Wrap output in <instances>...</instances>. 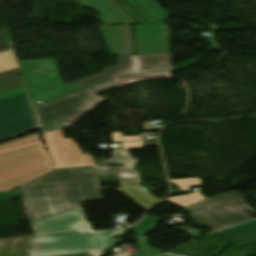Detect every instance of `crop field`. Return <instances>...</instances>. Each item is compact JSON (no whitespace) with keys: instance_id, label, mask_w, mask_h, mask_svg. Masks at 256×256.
I'll return each mask as SVG.
<instances>
[{"instance_id":"4a817a6b","label":"crop field","mask_w":256,"mask_h":256,"mask_svg":"<svg viewBox=\"0 0 256 256\" xmlns=\"http://www.w3.org/2000/svg\"><path fill=\"white\" fill-rule=\"evenodd\" d=\"M19 73L18 68L0 73V92L22 85L21 76H17Z\"/></svg>"},{"instance_id":"d8731c3e","label":"crop field","mask_w":256,"mask_h":256,"mask_svg":"<svg viewBox=\"0 0 256 256\" xmlns=\"http://www.w3.org/2000/svg\"><path fill=\"white\" fill-rule=\"evenodd\" d=\"M170 69L169 54L119 56V64L103 70L104 74L77 82L85 88L125 74Z\"/></svg>"},{"instance_id":"00972430","label":"crop field","mask_w":256,"mask_h":256,"mask_svg":"<svg viewBox=\"0 0 256 256\" xmlns=\"http://www.w3.org/2000/svg\"><path fill=\"white\" fill-rule=\"evenodd\" d=\"M25 92H26L25 86L22 85V86H19V87L1 92L0 93V100L8 98V97L15 96V95H18V94H22V93H25Z\"/></svg>"},{"instance_id":"d9b57169","label":"crop field","mask_w":256,"mask_h":256,"mask_svg":"<svg viewBox=\"0 0 256 256\" xmlns=\"http://www.w3.org/2000/svg\"><path fill=\"white\" fill-rule=\"evenodd\" d=\"M119 182L122 188H119L118 190H120L146 211L153 204L160 201L148 191L140 187V180H125Z\"/></svg>"},{"instance_id":"ae1a2a85","label":"crop field","mask_w":256,"mask_h":256,"mask_svg":"<svg viewBox=\"0 0 256 256\" xmlns=\"http://www.w3.org/2000/svg\"><path fill=\"white\" fill-rule=\"evenodd\" d=\"M19 195L18 191L17 190H13L11 192H8V193H2L0 192V199L1 200H9L15 196Z\"/></svg>"},{"instance_id":"dafd665d","label":"crop field","mask_w":256,"mask_h":256,"mask_svg":"<svg viewBox=\"0 0 256 256\" xmlns=\"http://www.w3.org/2000/svg\"><path fill=\"white\" fill-rule=\"evenodd\" d=\"M171 183L176 184L183 190H189L191 186L201 185V181L198 178L186 179V180H170Z\"/></svg>"},{"instance_id":"28ad6ade","label":"crop field","mask_w":256,"mask_h":256,"mask_svg":"<svg viewBox=\"0 0 256 256\" xmlns=\"http://www.w3.org/2000/svg\"><path fill=\"white\" fill-rule=\"evenodd\" d=\"M97 181L93 167L60 169L51 171L21 186V188L90 183Z\"/></svg>"},{"instance_id":"d1516ede","label":"crop field","mask_w":256,"mask_h":256,"mask_svg":"<svg viewBox=\"0 0 256 256\" xmlns=\"http://www.w3.org/2000/svg\"><path fill=\"white\" fill-rule=\"evenodd\" d=\"M139 23L164 22L167 12L153 0H114Z\"/></svg>"},{"instance_id":"dd49c442","label":"crop field","mask_w":256,"mask_h":256,"mask_svg":"<svg viewBox=\"0 0 256 256\" xmlns=\"http://www.w3.org/2000/svg\"><path fill=\"white\" fill-rule=\"evenodd\" d=\"M237 192L218 194L186 207L192 214L188 217L200 228L218 230L253 219L245 213L231 212L225 207L245 205ZM185 209V210H186Z\"/></svg>"},{"instance_id":"cbeb9de0","label":"crop field","mask_w":256,"mask_h":256,"mask_svg":"<svg viewBox=\"0 0 256 256\" xmlns=\"http://www.w3.org/2000/svg\"><path fill=\"white\" fill-rule=\"evenodd\" d=\"M83 8L90 6L103 25L137 23L112 0H75Z\"/></svg>"},{"instance_id":"a9b5d70f","label":"crop field","mask_w":256,"mask_h":256,"mask_svg":"<svg viewBox=\"0 0 256 256\" xmlns=\"http://www.w3.org/2000/svg\"><path fill=\"white\" fill-rule=\"evenodd\" d=\"M11 42L8 30L0 32V51L10 49Z\"/></svg>"},{"instance_id":"d3111659","label":"crop field","mask_w":256,"mask_h":256,"mask_svg":"<svg viewBox=\"0 0 256 256\" xmlns=\"http://www.w3.org/2000/svg\"><path fill=\"white\" fill-rule=\"evenodd\" d=\"M121 144H122L121 148H143L142 142H125Z\"/></svg>"},{"instance_id":"730fd06b","label":"crop field","mask_w":256,"mask_h":256,"mask_svg":"<svg viewBox=\"0 0 256 256\" xmlns=\"http://www.w3.org/2000/svg\"><path fill=\"white\" fill-rule=\"evenodd\" d=\"M233 243L239 245V246H245V245H249V244H253L256 243V234L242 238V239H238L235 241H232Z\"/></svg>"},{"instance_id":"8a807250","label":"crop field","mask_w":256,"mask_h":256,"mask_svg":"<svg viewBox=\"0 0 256 256\" xmlns=\"http://www.w3.org/2000/svg\"><path fill=\"white\" fill-rule=\"evenodd\" d=\"M35 240L29 256H63L89 253L92 256L103 255L105 247L112 246L121 230L93 232L87 225L82 208L72 209L60 214L30 222Z\"/></svg>"},{"instance_id":"bd1437ed","label":"crop field","mask_w":256,"mask_h":256,"mask_svg":"<svg viewBox=\"0 0 256 256\" xmlns=\"http://www.w3.org/2000/svg\"><path fill=\"white\" fill-rule=\"evenodd\" d=\"M73 256H91L89 254H83V255H73Z\"/></svg>"},{"instance_id":"3316defc","label":"crop field","mask_w":256,"mask_h":256,"mask_svg":"<svg viewBox=\"0 0 256 256\" xmlns=\"http://www.w3.org/2000/svg\"><path fill=\"white\" fill-rule=\"evenodd\" d=\"M135 55L169 53V27L134 25Z\"/></svg>"},{"instance_id":"22f410ed","label":"crop field","mask_w":256,"mask_h":256,"mask_svg":"<svg viewBox=\"0 0 256 256\" xmlns=\"http://www.w3.org/2000/svg\"><path fill=\"white\" fill-rule=\"evenodd\" d=\"M99 27L112 56L133 55L132 25Z\"/></svg>"},{"instance_id":"5a996713","label":"crop field","mask_w":256,"mask_h":256,"mask_svg":"<svg viewBox=\"0 0 256 256\" xmlns=\"http://www.w3.org/2000/svg\"><path fill=\"white\" fill-rule=\"evenodd\" d=\"M53 169L94 166L91 157L84 156L71 139H64L62 130L43 134Z\"/></svg>"},{"instance_id":"5142ce71","label":"crop field","mask_w":256,"mask_h":256,"mask_svg":"<svg viewBox=\"0 0 256 256\" xmlns=\"http://www.w3.org/2000/svg\"><path fill=\"white\" fill-rule=\"evenodd\" d=\"M112 157L108 161H99L97 166H94V170L97 175L115 174L118 179H131L140 178L138 171H134L136 159L130 158L128 150L113 151ZM106 163L124 164L118 167H105Z\"/></svg>"},{"instance_id":"ac0d7876","label":"crop field","mask_w":256,"mask_h":256,"mask_svg":"<svg viewBox=\"0 0 256 256\" xmlns=\"http://www.w3.org/2000/svg\"><path fill=\"white\" fill-rule=\"evenodd\" d=\"M40 134L0 145V191L7 192L52 170Z\"/></svg>"},{"instance_id":"412701ff","label":"crop field","mask_w":256,"mask_h":256,"mask_svg":"<svg viewBox=\"0 0 256 256\" xmlns=\"http://www.w3.org/2000/svg\"><path fill=\"white\" fill-rule=\"evenodd\" d=\"M168 73H170V71L124 76L111 82L85 89L59 100L43 104L36 108L42 128L43 130L63 128L60 126V123L79 117L77 115L79 113L92 110L89 106L95 104L91 101L96 98L95 94L112 89V85L116 82H120L126 78L154 76Z\"/></svg>"},{"instance_id":"733c2abd","label":"crop field","mask_w":256,"mask_h":256,"mask_svg":"<svg viewBox=\"0 0 256 256\" xmlns=\"http://www.w3.org/2000/svg\"><path fill=\"white\" fill-rule=\"evenodd\" d=\"M218 232L232 241L256 233V220Z\"/></svg>"},{"instance_id":"34b2d1b8","label":"crop field","mask_w":256,"mask_h":256,"mask_svg":"<svg viewBox=\"0 0 256 256\" xmlns=\"http://www.w3.org/2000/svg\"><path fill=\"white\" fill-rule=\"evenodd\" d=\"M98 183L20 189L29 220H36L102 200Z\"/></svg>"},{"instance_id":"bc2a9ffb","label":"crop field","mask_w":256,"mask_h":256,"mask_svg":"<svg viewBox=\"0 0 256 256\" xmlns=\"http://www.w3.org/2000/svg\"><path fill=\"white\" fill-rule=\"evenodd\" d=\"M201 199H203V197L198 192H195L193 194L186 195V196L167 198L164 201H171L175 204H178V205L184 207V206L190 205L196 201H199Z\"/></svg>"},{"instance_id":"214f88e0","label":"crop field","mask_w":256,"mask_h":256,"mask_svg":"<svg viewBox=\"0 0 256 256\" xmlns=\"http://www.w3.org/2000/svg\"><path fill=\"white\" fill-rule=\"evenodd\" d=\"M11 54H6V52L0 53V72L17 68V63L13 51Z\"/></svg>"},{"instance_id":"92a150f3","label":"crop field","mask_w":256,"mask_h":256,"mask_svg":"<svg viewBox=\"0 0 256 256\" xmlns=\"http://www.w3.org/2000/svg\"><path fill=\"white\" fill-rule=\"evenodd\" d=\"M140 256H159L162 253L159 250L150 249L146 239L137 240Z\"/></svg>"},{"instance_id":"f4fd0767","label":"crop field","mask_w":256,"mask_h":256,"mask_svg":"<svg viewBox=\"0 0 256 256\" xmlns=\"http://www.w3.org/2000/svg\"><path fill=\"white\" fill-rule=\"evenodd\" d=\"M23 72L26 85L33 103H44L71 92L84 89L83 86L74 83L63 87L55 59L18 61ZM40 71L41 74H34Z\"/></svg>"},{"instance_id":"1d83c4d3","label":"crop field","mask_w":256,"mask_h":256,"mask_svg":"<svg viewBox=\"0 0 256 256\" xmlns=\"http://www.w3.org/2000/svg\"><path fill=\"white\" fill-rule=\"evenodd\" d=\"M161 256H167V255H161Z\"/></svg>"},{"instance_id":"750c4746","label":"crop field","mask_w":256,"mask_h":256,"mask_svg":"<svg viewBox=\"0 0 256 256\" xmlns=\"http://www.w3.org/2000/svg\"><path fill=\"white\" fill-rule=\"evenodd\" d=\"M228 209L231 210V211L242 212L241 210H239L236 207H231V208H228Z\"/></svg>"},{"instance_id":"4177f3b9","label":"crop field","mask_w":256,"mask_h":256,"mask_svg":"<svg viewBox=\"0 0 256 256\" xmlns=\"http://www.w3.org/2000/svg\"><path fill=\"white\" fill-rule=\"evenodd\" d=\"M29 252H30V249L9 250V251L0 253V256H28Z\"/></svg>"},{"instance_id":"eef30255","label":"crop field","mask_w":256,"mask_h":256,"mask_svg":"<svg viewBox=\"0 0 256 256\" xmlns=\"http://www.w3.org/2000/svg\"><path fill=\"white\" fill-rule=\"evenodd\" d=\"M126 140H141V137L139 136L121 137L120 133L118 132L112 133V141H126Z\"/></svg>"},{"instance_id":"e52e79f7","label":"crop field","mask_w":256,"mask_h":256,"mask_svg":"<svg viewBox=\"0 0 256 256\" xmlns=\"http://www.w3.org/2000/svg\"><path fill=\"white\" fill-rule=\"evenodd\" d=\"M37 128L26 93L0 101V140Z\"/></svg>"}]
</instances>
